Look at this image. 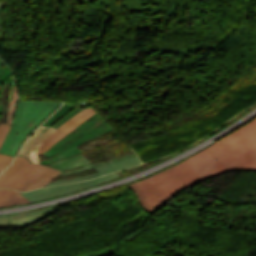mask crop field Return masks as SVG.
I'll return each instance as SVG.
<instances>
[{"mask_svg": "<svg viewBox=\"0 0 256 256\" xmlns=\"http://www.w3.org/2000/svg\"><path fill=\"white\" fill-rule=\"evenodd\" d=\"M5 6V4L0 2V11H2V8Z\"/></svg>", "mask_w": 256, "mask_h": 256, "instance_id": "obj_22", "label": "crop field"}, {"mask_svg": "<svg viewBox=\"0 0 256 256\" xmlns=\"http://www.w3.org/2000/svg\"><path fill=\"white\" fill-rule=\"evenodd\" d=\"M8 221V218L6 217H0V229L4 228L6 223Z\"/></svg>", "mask_w": 256, "mask_h": 256, "instance_id": "obj_20", "label": "crop field"}, {"mask_svg": "<svg viewBox=\"0 0 256 256\" xmlns=\"http://www.w3.org/2000/svg\"><path fill=\"white\" fill-rule=\"evenodd\" d=\"M119 177L117 173L107 175L101 178H97L94 180H89V181H83L79 183H72V184H66L58 187H50V188H44V189H37L32 192L28 193H21L22 195L26 196L31 202L37 201L40 199L48 198V197H53L57 195H61L64 193H68L71 191L87 188L90 186H93L98 183H103L105 181H110L112 179H115Z\"/></svg>", "mask_w": 256, "mask_h": 256, "instance_id": "obj_7", "label": "crop field"}, {"mask_svg": "<svg viewBox=\"0 0 256 256\" xmlns=\"http://www.w3.org/2000/svg\"><path fill=\"white\" fill-rule=\"evenodd\" d=\"M229 170H256V148L237 156L215 160L201 176L209 179Z\"/></svg>", "mask_w": 256, "mask_h": 256, "instance_id": "obj_6", "label": "crop field"}, {"mask_svg": "<svg viewBox=\"0 0 256 256\" xmlns=\"http://www.w3.org/2000/svg\"><path fill=\"white\" fill-rule=\"evenodd\" d=\"M66 134L61 133L59 131L54 132L52 135L48 137V139L42 144V146L39 149L38 154H42L44 151H46L49 147H51L54 143H56L58 140H60L62 137H64Z\"/></svg>", "mask_w": 256, "mask_h": 256, "instance_id": "obj_17", "label": "crop field"}, {"mask_svg": "<svg viewBox=\"0 0 256 256\" xmlns=\"http://www.w3.org/2000/svg\"><path fill=\"white\" fill-rule=\"evenodd\" d=\"M13 77L11 71H10V68L7 67L3 76H2V79H1V82H6V83H9L11 78Z\"/></svg>", "mask_w": 256, "mask_h": 256, "instance_id": "obj_19", "label": "crop field"}, {"mask_svg": "<svg viewBox=\"0 0 256 256\" xmlns=\"http://www.w3.org/2000/svg\"><path fill=\"white\" fill-rule=\"evenodd\" d=\"M97 176H100L99 173L91 174V175H87V176H83V177H79V178H75V179L55 181V182L49 183L46 186L58 185V184H62V183L72 182V181L86 180V179H91V178H94Z\"/></svg>", "mask_w": 256, "mask_h": 256, "instance_id": "obj_18", "label": "crop field"}, {"mask_svg": "<svg viewBox=\"0 0 256 256\" xmlns=\"http://www.w3.org/2000/svg\"><path fill=\"white\" fill-rule=\"evenodd\" d=\"M81 142H83L82 140L78 139L77 141H75L73 144H71L70 146H68L64 151L60 152L58 155H56L55 157L53 158H49V159H46L44 161H41L40 163L41 164H44V165H47V164H50V163H53L55 161H58L60 159H63V158H66V157H70V156H73V155H76V154H79L81 153L82 151L79 150L76 146L78 144H80Z\"/></svg>", "mask_w": 256, "mask_h": 256, "instance_id": "obj_16", "label": "crop field"}, {"mask_svg": "<svg viewBox=\"0 0 256 256\" xmlns=\"http://www.w3.org/2000/svg\"><path fill=\"white\" fill-rule=\"evenodd\" d=\"M27 202H29V200L17 191L0 189V207Z\"/></svg>", "mask_w": 256, "mask_h": 256, "instance_id": "obj_14", "label": "crop field"}, {"mask_svg": "<svg viewBox=\"0 0 256 256\" xmlns=\"http://www.w3.org/2000/svg\"><path fill=\"white\" fill-rule=\"evenodd\" d=\"M79 108L70 105L64 104L57 112H55L43 125L44 126H52V127H59L64 122H66L69 118L79 113Z\"/></svg>", "mask_w": 256, "mask_h": 256, "instance_id": "obj_12", "label": "crop field"}, {"mask_svg": "<svg viewBox=\"0 0 256 256\" xmlns=\"http://www.w3.org/2000/svg\"><path fill=\"white\" fill-rule=\"evenodd\" d=\"M95 113H96L95 110L92 109V108L84 110L79 114L77 113L78 115L72 117L70 120H68L62 126H60L58 129L68 133L71 130H73L75 127L80 125L84 120L88 119L89 117H91Z\"/></svg>", "mask_w": 256, "mask_h": 256, "instance_id": "obj_15", "label": "crop field"}, {"mask_svg": "<svg viewBox=\"0 0 256 256\" xmlns=\"http://www.w3.org/2000/svg\"><path fill=\"white\" fill-rule=\"evenodd\" d=\"M2 104H0V113H1ZM1 115V114H0Z\"/></svg>", "mask_w": 256, "mask_h": 256, "instance_id": "obj_23", "label": "crop field"}, {"mask_svg": "<svg viewBox=\"0 0 256 256\" xmlns=\"http://www.w3.org/2000/svg\"><path fill=\"white\" fill-rule=\"evenodd\" d=\"M5 67H6V65L2 61H0V79H1V76H2V73L5 69Z\"/></svg>", "mask_w": 256, "mask_h": 256, "instance_id": "obj_21", "label": "crop field"}, {"mask_svg": "<svg viewBox=\"0 0 256 256\" xmlns=\"http://www.w3.org/2000/svg\"><path fill=\"white\" fill-rule=\"evenodd\" d=\"M58 210H60V208L52 207V208L37 210L33 212L10 215L9 218L11 221L9 222L6 228L17 227L22 230L28 225Z\"/></svg>", "mask_w": 256, "mask_h": 256, "instance_id": "obj_10", "label": "crop field"}, {"mask_svg": "<svg viewBox=\"0 0 256 256\" xmlns=\"http://www.w3.org/2000/svg\"><path fill=\"white\" fill-rule=\"evenodd\" d=\"M60 171L44 165L30 164L24 156H18L11 166L0 175V188L11 187L20 191L44 187Z\"/></svg>", "mask_w": 256, "mask_h": 256, "instance_id": "obj_3", "label": "crop field"}, {"mask_svg": "<svg viewBox=\"0 0 256 256\" xmlns=\"http://www.w3.org/2000/svg\"><path fill=\"white\" fill-rule=\"evenodd\" d=\"M256 147V119L208 147L216 158L237 155Z\"/></svg>", "mask_w": 256, "mask_h": 256, "instance_id": "obj_4", "label": "crop field"}, {"mask_svg": "<svg viewBox=\"0 0 256 256\" xmlns=\"http://www.w3.org/2000/svg\"><path fill=\"white\" fill-rule=\"evenodd\" d=\"M140 163L141 162H140L139 158L137 156H135V157L120 160V161H117L115 163L97 168V170L101 175H106V174H110V173H113L115 171H118V170H121V169H124V168H128V167L138 165Z\"/></svg>", "mask_w": 256, "mask_h": 256, "instance_id": "obj_13", "label": "crop field"}, {"mask_svg": "<svg viewBox=\"0 0 256 256\" xmlns=\"http://www.w3.org/2000/svg\"><path fill=\"white\" fill-rule=\"evenodd\" d=\"M90 118V117H89ZM113 131L107 123L96 113L90 119L84 121L80 126L76 129L68 133L63 139L49 148L42 155L46 157H52L58 154L60 151L65 149L72 142L77 140L78 138L82 139L84 142L89 141L91 139L97 138L104 134Z\"/></svg>", "mask_w": 256, "mask_h": 256, "instance_id": "obj_5", "label": "crop field"}, {"mask_svg": "<svg viewBox=\"0 0 256 256\" xmlns=\"http://www.w3.org/2000/svg\"><path fill=\"white\" fill-rule=\"evenodd\" d=\"M61 103L53 101L20 100L14 123L0 153L15 156L28 135L47 119ZM13 151L10 152L9 149Z\"/></svg>", "mask_w": 256, "mask_h": 256, "instance_id": "obj_2", "label": "crop field"}, {"mask_svg": "<svg viewBox=\"0 0 256 256\" xmlns=\"http://www.w3.org/2000/svg\"><path fill=\"white\" fill-rule=\"evenodd\" d=\"M214 159V155L207 148L169 169L128 187L136 196L139 205L149 213H154L182 189L203 181L200 174Z\"/></svg>", "mask_w": 256, "mask_h": 256, "instance_id": "obj_1", "label": "crop field"}, {"mask_svg": "<svg viewBox=\"0 0 256 256\" xmlns=\"http://www.w3.org/2000/svg\"><path fill=\"white\" fill-rule=\"evenodd\" d=\"M10 85L4 84L3 93H2V119L0 121V146L2 145L10 127L12 124L6 123L7 117V97L9 92ZM14 157L9 155H2L0 154V172L3 171L8 165L11 164Z\"/></svg>", "mask_w": 256, "mask_h": 256, "instance_id": "obj_11", "label": "crop field"}, {"mask_svg": "<svg viewBox=\"0 0 256 256\" xmlns=\"http://www.w3.org/2000/svg\"><path fill=\"white\" fill-rule=\"evenodd\" d=\"M54 131L49 127H40L32 134L19 155L26 156L31 163L40 164L37 159V151L46 138Z\"/></svg>", "mask_w": 256, "mask_h": 256, "instance_id": "obj_9", "label": "crop field"}, {"mask_svg": "<svg viewBox=\"0 0 256 256\" xmlns=\"http://www.w3.org/2000/svg\"><path fill=\"white\" fill-rule=\"evenodd\" d=\"M131 156H135V153L126 155V156H123V157H120L117 159H113V160H110L107 162L99 163V164H96L93 166L81 153L79 155L60 160L58 162H55V163L47 165V166L61 170L62 172L58 175V176H60V175L74 174V173L82 172V171L89 170L92 168H97V167L112 163V162L120 160V159L131 157Z\"/></svg>", "mask_w": 256, "mask_h": 256, "instance_id": "obj_8", "label": "crop field"}]
</instances>
